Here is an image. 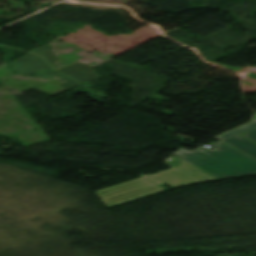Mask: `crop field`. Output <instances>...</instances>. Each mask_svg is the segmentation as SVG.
I'll return each mask as SVG.
<instances>
[{
	"label": "crop field",
	"instance_id": "obj_1",
	"mask_svg": "<svg viewBox=\"0 0 256 256\" xmlns=\"http://www.w3.org/2000/svg\"><path fill=\"white\" fill-rule=\"evenodd\" d=\"M209 145L216 147V149L218 148L219 151H216V149L212 151L201 147L196 151L189 152L181 148L173 154L221 179L256 174L255 160L221 142ZM177 152L185 157L176 154Z\"/></svg>",
	"mask_w": 256,
	"mask_h": 256
},
{
	"label": "crop field",
	"instance_id": "obj_2",
	"mask_svg": "<svg viewBox=\"0 0 256 256\" xmlns=\"http://www.w3.org/2000/svg\"><path fill=\"white\" fill-rule=\"evenodd\" d=\"M170 160L179 165L178 166L173 165L172 163L169 162ZM165 162L172 168L167 171L157 173L151 176H147L143 174L139 176L145 179H148L165 189H168V187L162 185L164 183L173 187H177V186H182V185L191 184L195 182L217 179L211 175H208L202 172V170L180 160L179 158L173 155L170 158L166 159Z\"/></svg>",
	"mask_w": 256,
	"mask_h": 256
},
{
	"label": "crop field",
	"instance_id": "obj_3",
	"mask_svg": "<svg viewBox=\"0 0 256 256\" xmlns=\"http://www.w3.org/2000/svg\"><path fill=\"white\" fill-rule=\"evenodd\" d=\"M162 190L164 189L143 178H140L97 190L95 192L105 206L109 208Z\"/></svg>",
	"mask_w": 256,
	"mask_h": 256
},
{
	"label": "crop field",
	"instance_id": "obj_4",
	"mask_svg": "<svg viewBox=\"0 0 256 256\" xmlns=\"http://www.w3.org/2000/svg\"><path fill=\"white\" fill-rule=\"evenodd\" d=\"M256 119V118H255ZM256 129V120L255 122L249 124V125H246L244 127H241L239 129H236L232 132H229L227 134H224V135H221L219 137H216L230 145H232L233 147L253 156L256 158V145H254L253 143L247 141L246 139L238 136L236 138H233V139H230L236 135H239L245 131H248L250 129ZM247 135L245 137L249 138V139H252L254 141H256V130L254 131H251L249 133H246Z\"/></svg>",
	"mask_w": 256,
	"mask_h": 256
},
{
	"label": "crop field",
	"instance_id": "obj_5",
	"mask_svg": "<svg viewBox=\"0 0 256 256\" xmlns=\"http://www.w3.org/2000/svg\"><path fill=\"white\" fill-rule=\"evenodd\" d=\"M10 64L19 74L24 75H30L40 69H52L45 64L42 58L30 54H26Z\"/></svg>",
	"mask_w": 256,
	"mask_h": 256
},
{
	"label": "crop field",
	"instance_id": "obj_6",
	"mask_svg": "<svg viewBox=\"0 0 256 256\" xmlns=\"http://www.w3.org/2000/svg\"><path fill=\"white\" fill-rule=\"evenodd\" d=\"M58 71L80 83L98 78L97 74L90 68V66L81 63H77Z\"/></svg>",
	"mask_w": 256,
	"mask_h": 256
},
{
	"label": "crop field",
	"instance_id": "obj_7",
	"mask_svg": "<svg viewBox=\"0 0 256 256\" xmlns=\"http://www.w3.org/2000/svg\"><path fill=\"white\" fill-rule=\"evenodd\" d=\"M56 75H58V76H60V77H62V78L67 80V82H63V83L59 84L62 88H67V87L79 84V83H77V82H75V81H73V80H71V79L61 75L60 73L53 71V70L45 72V73L40 74V75H37L35 77L46 79V78L53 77V76H56Z\"/></svg>",
	"mask_w": 256,
	"mask_h": 256
},
{
	"label": "crop field",
	"instance_id": "obj_8",
	"mask_svg": "<svg viewBox=\"0 0 256 256\" xmlns=\"http://www.w3.org/2000/svg\"><path fill=\"white\" fill-rule=\"evenodd\" d=\"M31 53H35V54H39V55L43 56L52 66L55 63L48 45H44V46L32 51Z\"/></svg>",
	"mask_w": 256,
	"mask_h": 256
}]
</instances>
